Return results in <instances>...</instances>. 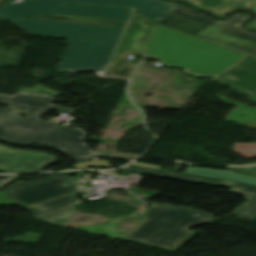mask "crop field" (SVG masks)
I'll return each instance as SVG.
<instances>
[{"label":"crop field","mask_w":256,"mask_h":256,"mask_svg":"<svg viewBox=\"0 0 256 256\" xmlns=\"http://www.w3.org/2000/svg\"><path fill=\"white\" fill-rule=\"evenodd\" d=\"M53 97L16 93L14 97L0 96V103L9 104L7 110L0 109V136L17 143H43L59 147L69 152L79 162L94 159L85 145L79 143L83 133L70 126L45 122L39 119L49 108L67 113L71 108L52 106ZM28 107L24 113L26 121L20 117L19 107Z\"/></svg>","instance_id":"1"},{"label":"crop field","mask_w":256,"mask_h":256,"mask_svg":"<svg viewBox=\"0 0 256 256\" xmlns=\"http://www.w3.org/2000/svg\"><path fill=\"white\" fill-rule=\"evenodd\" d=\"M142 55L185 67L196 76H216L247 56L158 24Z\"/></svg>","instance_id":"2"},{"label":"crop field","mask_w":256,"mask_h":256,"mask_svg":"<svg viewBox=\"0 0 256 256\" xmlns=\"http://www.w3.org/2000/svg\"><path fill=\"white\" fill-rule=\"evenodd\" d=\"M212 217L190 208L151 203L140 223L120 239L175 252L197 234L190 227L210 223Z\"/></svg>","instance_id":"3"},{"label":"crop field","mask_w":256,"mask_h":256,"mask_svg":"<svg viewBox=\"0 0 256 256\" xmlns=\"http://www.w3.org/2000/svg\"><path fill=\"white\" fill-rule=\"evenodd\" d=\"M68 2L130 7L156 22L177 3L168 0H7L0 6V19L36 16Z\"/></svg>","instance_id":"4"},{"label":"crop field","mask_w":256,"mask_h":256,"mask_svg":"<svg viewBox=\"0 0 256 256\" xmlns=\"http://www.w3.org/2000/svg\"><path fill=\"white\" fill-rule=\"evenodd\" d=\"M156 23L133 13L127 29L113 55L105 76L129 79L136 64L126 60L128 55H141Z\"/></svg>","instance_id":"5"},{"label":"crop field","mask_w":256,"mask_h":256,"mask_svg":"<svg viewBox=\"0 0 256 256\" xmlns=\"http://www.w3.org/2000/svg\"><path fill=\"white\" fill-rule=\"evenodd\" d=\"M34 35L116 45L123 29L25 19L16 21Z\"/></svg>","instance_id":"6"},{"label":"crop field","mask_w":256,"mask_h":256,"mask_svg":"<svg viewBox=\"0 0 256 256\" xmlns=\"http://www.w3.org/2000/svg\"><path fill=\"white\" fill-rule=\"evenodd\" d=\"M83 172L60 173L27 183L21 181L13 184L2 193L21 206L27 205L86 187L87 185H76L70 181V175ZM66 183L69 184L66 185Z\"/></svg>","instance_id":"7"},{"label":"crop field","mask_w":256,"mask_h":256,"mask_svg":"<svg viewBox=\"0 0 256 256\" xmlns=\"http://www.w3.org/2000/svg\"><path fill=\"white\" fill-rule=\"evenodd\" d=\"M115 46L71 40L56 71H104Z\"/></svg>","instance_id":"8"},{"label":"crop field","mask_w":256,"mask_h":256,"mask_svg":"<svg viewBox=\"0 0 256 256\" xmlns=\"http://www.w3.org/2000/svg\"><path fill=\"white\" fill-rule=\"evenodd\" d=\"M248 14H235L229 20L217 21L196 37L256 57V34L241 27Z\"/></svg>","instance_id":"9"},{"label":"crop field","mask_w":256,"mask_h":256,"mask_svg":"<svg viewBox=\"0 0 256 256\" xmlns=\"http://www.w3.org/2000/svg\"><path fill=\"white\" fill-rule=\"evenodd\" d=\"M125 171L215 185V186H227L231 187L232 189L230 192L239 193L244 195L248 201L243 204L241 207L237 208L234 213L243 216L249 220L253 219L256 216V186L228 181V180H221V179H214V178H207V177H200L194 175H187V174H180V173H172V172H164L158 171L138 166L130 165L124 169Z\"/></svg>","instance_id":"10"},{"label":"crop field","mask_w":256,"mask_h":256,"mask_svg":"<svg viewBox=\"0 0 256 256\" xmlns=\"http://www.w3.org/2000/svg\"><path fill=\"white\" fill-rule=\"evenodd\" d=\"M58 162L59 159L53 155L13 150L0 145V170L8 173L35 172Z\"/></svg>","instance_id":"11"},{"label":"crop field","mask_w":256,"mask_h":256,"mask_svg":"<svg viewBox=\"0 0 256 256\" xmlns=\"http://www.w3.org/2000/svg\"><path fill=\"white\" fill-rule=\"evenodd\" d=\"M216 21L204 13L177 3L159 23L195 36Z\"/></svg>","instance_id":"12"},{"label":"crop field","mask_w":256,"mask_h":256,"mask_svg":"<svg viewBox=\"0 0 256 256\" xmlns=\"http://www.w3.org/2000/svg\"><path fill=\"white\" fill-rule=\"evenodd\" d=\"M212 80L256 97V59L247 56Z\"/></svg>","instance_id":"13"},{"label":"crop field","mask_w":256,"mask_h":256,"mask_svg":"<svg viewBox=\"0 0 256 256\" xmlns=\"http://www.w3.org/2000/svg\"><path fill=\"white\" fill-rule=\"evenodd\" d=\"M131 12L132 10L124 8L64 4L49 13L127 21Z\"/></svg>","instance_id":"14"},{"label":"crop field","mask_w":256,"mask_h":256,"mask_svg":"<svg viewBox=\"0 0 256 256\" xmlns=\"http://www.w3.org/2000/svg\"><path fill=\"white\" fill-rule=\"evenodd\" d=\"M78 203L74 193L25 208L33 210L34 215L41 220H47L69 216L72 214V205Z\"/></svg>","instance_id":"15"},{"label":"crop field","mask_w":256,"mask_h":256,"mask_svg":"<svg viewBox=\"0 0 256 256\" xmlns=\"http://www.w3.org/2000/svg\"><path fill=\"white\" fill-rule=\"evenodd\" d=\"M195 6L204 8L218 16L234 10L248 9L256 12V0H185ZM248 26L256 29V19L248 23Z\"/></svg>","instance_id":"16"},{"label":"crop field","mask_w":256,"mask_h":256,"mask_svg":"<svg viewBox=\"0 0 256 256\" xmlns=\"http://www.w3.org/2000/svg\"><path fill=\"white\" fill-rule=\"evenodd\" d=\"M32 19L67 22V23H78V24H88V25H98V26H108V27H118V28H124V26L126 24V22H122V21L91 19V18L56 15V14H45L43 16L34 17Z\"/></svg>","instance_id":"17"},{"label":"crop field","mask_w":256,"mask_h":256,"mask_svg":"<svg viewBox=\"0 0 256 256\" xmlns=\"http://www.w3.org/2000/svg\"><path fill=\"white\" fill-rule=\"evenodd\" d=\"M186 173L228 178V179H234V180L256 184V177L235 173L233 171H216L211 169L194 168L189 166Z\"/></svg>","instance_id":"18"},{"label":"crop field","mask_w":256,"mask_h":256,"mask_svg":"<svg viewBox=\"0 0 256 256\" xmlns=\"http://www.w3.org/2000/svg\"><path fill=\"white\" fill-rule=\"evenodd\" d=\"M75 167H87V166H100V167H110L107 161L96 160L88 163L74 165Z\"/></svg>","instance_id":"19"},{"label":"crop field","mask_w":256,"mask_h":256,"mask_svg":"<svg viewBox=\"0 0 256 256\" xmlns=\"http://www.w3.org/2000/svg\"><path fill=\"white\" fill-rule=\"evenodd\" d=\"M134 165H140V166H146V167H152V168H158V169H161L162 167L161 166H155V165H150V164H144V163H138V162H135L133 163Z\"/></svg>","instance_id":"20"}]
</instances>
